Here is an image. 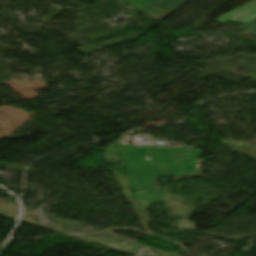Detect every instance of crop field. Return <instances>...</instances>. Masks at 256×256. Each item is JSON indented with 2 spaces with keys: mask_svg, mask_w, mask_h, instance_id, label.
Instances as JSON below:
<instances>
[{
  "mask_svg": "<svg viewBox=\"0 0 256 256\" xmlns=\"http://www.w3.org/2000/svg\"><path fill=\"white\" fill-rule=\"evenodd\" d=\"M132 193L148 205L164 202L162 187L153 178L193 172L200 150L188 146L158 149L151 146L119 144Z\"/></svg>",
  "mask_w": 256,
  "mask_h": 256,
  "instance_id": "obj_1",
  "label": "crop field"
},
{
  "mask_svg": "<svg viewBox=\"0 0 256 256\" xmlns=\"http://www.w3.org/2000/svg\"><path fill=\"white\" fill-rule=\"evenodd\" d=\"M135 9L142 10L150 14L157 20L163 19L173 10L176 6L167 0H127Z\"/></svg>",
  "mask_w": 256,
  "mask_h": 256,
  "instance_id": "obj_2",
  "label": "crop field"
},
{
  "mask_svg": "<svg viewBox=\"0 0 256 256\" xmlns=\"http://www.w3.org/2000/svg\"><path fill=\"white\" fill-rule=\"evenodd\" d=\"M256 18V0H253L217 19L224 22H248Z\"/></svg>",
  "mask_w": 256,
  "mask_h": 256,
  "instance_id": "obj_3",
  "label": "crop field"
},
{
  "mask_svg": "<svg viewBox=\"0 0 256 256\" xmlns=\"http://www.w3.org/2000/svg\"><path fill=\"white\" fill-rule=\"evenodd\" d=\"M240 27L256 35V19H254Z\"/></svg>",
  "mask_w": 256,
  "mask_h": 256,
  "instance_id": "obj_4",
  "label": "crop field"
},
{
  "mask_svg": "<svg viewBox=\"0 0 256 256\" xmlns=\"http://www.w3.org/2000/svg\"><path fill=\"white\" fill-rule=\"evenodd\" d=\"M169 1L179 7L187 0H169Z\"/></svg>",
  "mask_w": 256,
  "mask_h": 256,
  "instance_id": "obj_5",
  "label": "crop field"
}]
</instances>
